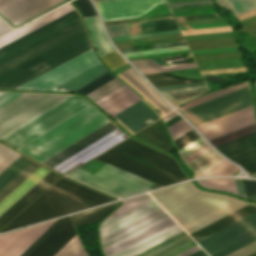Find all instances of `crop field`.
I'll return each mask as SVG.
<instances>
[{
	"label": "crop field",
	"instance_id": "62",
	"mask_svg": "<svg viewBox=\"0 0 256 256\" xmlns=\"http://www.w3.org/2000/svg\"><path fill=\"white\" fill-rule=\"evenodd\" d=\"M219 17L218 14H212V15H201V16H191V17H180L175 18L176 21H182V20H193V19H204V18H215Z\"/></svg>",
	"mask_w": 256,
	"mask_h": 256
},
{
	"label": "crop field",
	"instance_id": "45",
	"mask_svg": "<svg viewBox=\"0 0 256 256\" xmlns=\"http://www.w3.org/2000/svg\"><path fill=\"white\" fill-rule=\"evenodd\" d=\"M248 85V81L238 85V86H234V87H231V88H228V89H224V90H221V91H218V92H214V93H211V94H207V95H204V96H201L185 105H183L181 108L182 110L186 109V108H189V107H192L194 105H197V104H200L202 102H205V101H208L210 99H213L215 97H218V96H221L223 94H226V93H229L231 91H234V90H237L239 88H242V87H245Z\"/></svg>",
	"mask_w": 256,
	"mask_h": 256
},
{
	"label": "crop field",
	"instance_id": "58",
	"mask_svg": "<svg viewBox=\"0 0 256 256\" xmlns=\"http://www.w3.org/2000/svg\"><path fill=\"white\" fill-rule=\"evenodd\" d=\"M256 251V242L228 255V256H247Z\"/></svg>",
	"mask_w": 256,
	"mask_h": 256
},
{
	"label": "crop field",
	"instance_id": "1",
	"mask_svg": "<svg viewBox=\"0 0 256 256\" xmlns=\"http://www.w3.org/2000/svg\"><path fill=\"white\" fill-rule=\"evenodd\" d=\"M74 10L67 4L0 39V47ZM80 18L74 10L0 48V57ZM78 19L2 58L0 88H14L92 48Z\"/></svg>",
	"mask_w": 256,
	"mask_h": 256
},
{
	"label": "crop field",
	"instance_id": "13",
	"mask_svg": "<svg viewBox=\"0 0 256 256\" xmlns=\"http://www.w3.org/2000/svg\"><path fill=\"white\" fill-rule=\"evenodd\" d=\"M63 1L0 0V13L16 26Z\"/></svg>",
	"mask_w": 256,
	"mask_h": 256
},
{
	"label": "crop field",
	"instance_id": "20",
	"mask_svg": "<svg viewBox=\"0 0 256 256\" xmlns=\"http://www.w3.org/2000/svg\"><path fill=\"white\" fill-rule=\"evenodd\" d=\"M58 178L59 176L50 172L44 176L36 185H34L26 194H24L0 216V229Z\"/></svg>",
	"mask_w": 256,
	"mask_h": 256
},
{
	"label": "crop field",
	"instance_id": "27",
	"mask_svg": "<svg viewBox=\"0 0 256 256\" xmlns=\"http://www.w3.org/2000/svg\"><path fill=\"white\" fill-rule=\"evenodd\" d=\"M134 136L141 138L167 152L171 151L172 144L168 138V135L164 129L161 120L149 125L148 127L133 134Z\"/></svg>",
	"mask_w": 256,
	"mask_h": 256
},
{
	"label": "crop field",
	"instance_id": "52",
	"mask_svg": "<svg viewBox=\"0 0 256 256\" xmlns=\"http://www.w3.org/2000/svg\"><path fill=\"white\" fill-rule=\"evenodd\" d=\"M178 33H181L180 30L167 31V32H158V33H149V34H141V35H133V36H125V37H115V38H112V40L113 41L130 40V39H138V38L178 34Z\"/></svg>",
	"mask_w": 256,
	"mask_h": 256
},
{
	"label": "crop field",
	"instance_id": "15",
	"mask_svg": "<svg viewBox=\"0 0 256 256\" xmlns=\"http://www.w3.org/2000/svg\"><path fill=\"white\" fill-rule=\"evenodd\" d=\"M225 157L256 173V133L216 147Z\"/></svg>",
	"mask_w": 256,
	"mask_h": 256
},
{
	"label": "crop field",
	"instance_id": "33",
	"mask_svg": "<svg viewBox=\"0 0 256 256\" xmlns=\"http://www.w3.org/2000/svg\"><path fill=\"white\" fill-rule=\"evenodd\" d=\"M180 231H182V229L176 225V226L116 255V256H132V255H134V254H136V253H138V252H140V251H142V250H144V249H146V248H148V247H150V246H152V245H154V244H156V243H158V242H160V241H162Z\"/></svg>",
	"mask_w": 256,
	"mask_h": 256
},
{
	"label": "crop field",
	"instance_id": "59",
	"mask_svg": "<svg viewBox=\"0 0 256 256\" xmlns=\"http://www.w3.org/2000/svg\"><path fill=\"white\" fill-rule=\"evenodd\" d=\"M208 4H213V3L211 0H204V1L184 2V3H173L169 5L171 8H176V7H187V6L208 5Z\"/></svg>",
	"mask_w": 256,
	"mask_h": 256
},
{
	"label": "crop field",
	"instance_id": "61",
	"mask_svg": "<svg viewBox=\"0 0 256 256\" xmlns=\"http://www.w3.org/2000/svg\"><path fill=\"white\" fill-rule=\"evenodd\" d=\"M21 93H12V92H5L0 95V106L4 103L8 102L9 100L13 99L14 97L18 96Z\"/></svg>",
	"mask_w": 256,
	"mask_h": 256
},
{
	"label": "crop field",
	"instance_id": "7",
	"mask_svg": "<svg viewBox=\"0 0 256 256\" xmlns=\"http://www.w3.org/2000/svg\"><path fill=\"white\" fill-rule=\"evenodd\" d=\"M67 95L24 93L0 107V138L66 99Z\"/></svg>",
	"mask_w": 256,
	"mask_h": 256
},
{
	"label": "crop field",
	"instance_id": "67",
	"mask_svg": "<svg viewBox=\"0 0 256 256\" xmlns=\"http://www.w3.org/2000/svg\"><path fill=\"white\" fill-rule=\"evenodd\" d=\"M175 115H177V113L175 111H173L170 114H168L165 117H163V119H164V121H167V120H169L170 118H172Z\"/></svg>",
	"mask_w": 256,
	"mask_h": 256
},
{
	"label": "crop field",
	"instance_id": "64",
	"mask_svg": "<svg viewBox=\"0 0 256 256\" xmlns=\"http://www.w3.org/2000/svg\"><path fill=\"white\" fill-rule=\"evenodd\" d=\"M234 179H235V182H236V185H237V189H238L239 195L246 198L245 192H244V188H243V184H242V180L241 179H237V178H234Z\"/></svg>",
	"mask_w": 256,
	"mask_h": 256
},
{
	"label": "crop field",
	"instance_id": "48",
	"mask_svg": "<svg viewBox=\"0 0 256 256\" xmlns=\"http://www.w3.org/2000/svg\"><path fill=\"white\" fill-rule=\"evenodd\" d=\"M235 14L255 8L256 0H227Z\"/></svg>",
	"mask_w": 256,
	"mask_h": 256
},
{
	"label": "crop field",
	"instance_id": "69",
	"mask_svg": "<svg viewBox=\"0 0 256 256\" xmlns=\"http://www.w3.org/2000/svg\"><path fill=\"white\" fill-rule=\"evenodd\" d=\"M191 256H207V255L201 250V251H199V252H197V253H195Z\"/></svg>",
	"mask_w": 256,
	"mask_h": 256
},
{
	"label": "crop field",
	"instance_id": "50",
	"mask_svg": "<svg viewBox=\"0 0 256 256\" xmlns=\"http://www.w3.org/2000/svg\"><path fill=\"white\" fill-rule=\"evenodd\" d=\"M194 67H196L195 63H190V64L166 66V67H159V68L142 69L140 70V72L142 74H146V73H154V72H162V71H170V70H178V69H186V68H194Z\"/></svg>",
	"mask_w": 256,
	"mask_h": 256
},
{
	"label": "crop field",
	"instance_id": "49",
	"mask_svg": "<svg viewBox=\"0 0 256 256\" xmlns=\"http://www.w3.org/2000/svg\"><path fill=\"white\" fill-rule=\"evenodd\" d=\"M101 60H103V62L110 68H114L124 62H126V60H124L117 51H114L104 57L101 58Z\"/></svg>",
	"mask_w": 256,
	"mask_h": 256
},
{
	"label": "crop field",
	"instance_id": "28",
	"mask_svg": "<svg viewBox=\"0 0 256 256\" xmlns=\"http://www.w3.org/2000/svg\"><path fill=\"white\" fill-rule=\"evenodd\" d=\"M129 82L137 87L142 93H144L149 99L157 104L166 113L172 110V108L132 69H128L122 73Z\"/></svg>",
	"mask_w": 256,
	"mask_h": 256
},
{
	"label": "crop field",
	"instance_id": "40",
	"mask_svg": "<svg viewBox=\"0 0 256 256\" xmlns=\"http://www.w3.org/2000/svg\"><path fill=\"white\" fill-rule=\"evenodd\" d=\"M239 170V168L224 159L206 169L202 173L194 176V178L204 177V176H212V175H229L235 171Z\"/></svg>",
	"mask_w": 256,
	"mask_h": 256
},
{
	"label": "crop field",
	"instance_id": "70",
	"mask_svg": "<svg viewBox=\"0 0 256 256\" xmlns=\"http://www.w3.org/2000/svg\"><path fill=\"white\" fill-rule=\"evenodd\" d=\"M249 256H256V252H255V253H253V254H251V255H249Z\"/></svg>",
	"mask_w": 256,
	"mask_h": 256
},
{
	"label": "crop field",
	"instance_id": "9",
	"mask_svg": "<svg viewBox=\"0 0 256 256\" xmlns=\"http://www.w3.org/2000/svg\"><path fill=\"white\" fill-rule=\"evenodd\" d=\"M256 241V213L197 242L211 256H226Z\"/></svg>",
	"mask_w": 256,
	"mask_h": 256
},
{
	"label": "crop field",
	"instance_id": "42",
	"mask_svg": "<svg viewBox=\"0 0 256 256\" xmlns=\"http://www.w3.org/2000/svg\"><path fill=\"white\" fill-rule=\"evenodd\" d=\"M125 85L122 83L117 77L109 81L108 83L104 84L103 86L99 87L98 89L94 90L87 96H89L95 103L103 99L104 97L108 96L112 92L116 91L120 87Z\"/></svg>",
	"mask_w": 256,
	"mask_h": 256
},
{
	"label": "crop field",
	"instance_id": "66",
	"mask_svg": "<svg viewBox=\"0 0 256 256\" xmlns=\"http://www.w3.org/2000/svg\"><path fill=\"white\" fill-rule=\"evenodd\" d=\"M198 250H200V248L197 246V247H195V248H193V249H191V250H189V251H187V252H185V253H183V254H181L179 256H188V255H190V254H192V253H194V252H196Z\"/></svg>",
	"mask_w": 256,
	"mask_h": 256
},
{
	"label": "crop field",
	"instance_id": "17",
	"mask_svg": "<svg viewBox=\"0 0 256 256\" xmlns=\"http://www.w3.org/2000/svg\"><path fill=\"white\" fill-rule=\"evenodd\" d=\"M126 137L128 136L124 135L117 128L52 169L63 174L86 162L87 160L99 155Z\"/></svg>",
	"mask_w": 256,
	"mask_h": 256
},
{
	"label": "crop field",
	"instance_id": "3",
	"mask_svg": "<svg viewBox=\"0 0 256 256\" xmlns=\"http://www.w3.org/2000/svg\"><path fill=\"white\" fill-rule=\"evenodd\" d=\"M109 201L113 200L61 178L0 232Z\"/></svg>",
	"mask_w": 256,
	"mask_h": 256
},
{
	"label": "crop field",
	"instance_id": "31",
	"mask_svg": "<svg viewBox=\"0 0 256 256\" xmlns=\"http://www.w3.org/2000/svg\"><path fill=\"white\" fill-rule=\"evenodd\" d=\"M118 205V202L109 204L103 207H99L93 210H89L83 213L72 215L73 222L76 227L98 222L102 217H104L108 212H110L114 207Z\"/></svg>",
	"mask_w": 256,
	"mask_h": 256
},
{
	"label": "crop field",
	"instance_id": "53",
	"mask_svg": "<svg viewBox=\"0 0 256 256\" xmlns=\"http://www.w3.org/2000/svg\"><path fill=\"white\" fill-rule=\"evenodd\" d=\"M198 137H200V136L192 129L189 132H187L186 134H184L182 137H180L179 139L174 141V143L179 150L182 147L189 144L190 142H192L193 140L197 139Z\"/></svg>",
	"mask_w": 256,
	"mask_h": 256
},
{
	"label": "crop field",
	"instance_id": "18",
	"mask_svg": "<svg viewBox=\"0 0 256 256\" xmlns=\"http://www.w3.org/2000/svg\"><path fill=\"white\" fill-rule=\"evenodd\" d=\"M76 234L68 216L35 250L28 256H54Z\"/></svg>",
	"mask_w": 256,
	"mask_h": 256
},
{
	"label": "crop field",
	"instance_id": "44",
	"mask_svg": "<svg viewBox=\"0 0 256 256\" xmlns=\"http://www.w3.org/2000/svg\"><path fill=\"white\" fill-rule=\"evenodd\" d=\"M114 77H116V76H114L112 73H110L108 71L105 74L99 76L98 78H96V79L92 80L91 82L85 84L84 86L80 87L79 89H77L74 92L86 95V94L90 93L91 91H93L94 89L98 88L99 86L103 85L104 83L108 82L109 80H111Z\"/></svg>",
	"mask_w": 256,
	"mask_h": 256
},
{
	"label": "crop field",
	"instance_id": "39",
	"mask_svg": "<svg viewBox=\"0 0 256 256\" xmlns=\"http://www.w3.org/2000/svg\"><path fill=\"white\" fill-rule=\"evenodd\" d=\"M221 159L223 158L212 149L188 164L198 174Z\"/></svg>",
	"mask_w": 256,
	"mask_h": 256
},
{
	"label": "crop field",
	"instance_id": "11",
	"mask_svg": "<svg viewBox=\"0 0 256 256\" xmlns=\"http://www.w3.org/2000/svg\"><path fill=\"white\" fill-rule=\"evenodd\" d=\"M251 104L247 86L181 112L196 126Z\"/></svg>",
	"mask_w": 256,
	"mask_h": 256
},
{
	"label": "crop field",
	"instance_id": "57",
	"mask_svg": "<svg viewBox=\"0 0 256 256\" xmlns=\"http://www.w3.org/2000/svg\"><path fill=\"white\" fill-rule=\"evenodd\" d=\"M132 62L135 64V66L138 69L162 66L161 64H159L151 59L135 60Z\"/></svg>",
	"mask_w": 256,
	"mask_h": 256
},
{
	"label": "crop field",
	"instance_id": "32",
	"mask_svg": "<svg viewBox=\"0 0 256 256\" xmlns=\"http://www.w3.org/2000/svg\"><path fill=\"white\" fill-rule=\"evenodd\" d=\"M145 76L156 87L204 81L203 78H201V79H191V78L180 77V76H177V75H174V74H171V73H167V72L147 74Z\"/></svg>",
	"mask_w": 256,
	"mask_h": 256
},
{
	"label": "crop field",
	"instance_id": "19",
	"mask_svg": "<svg viewBox=\"0 0 256 256\" xmlns=\"http://www.w3.org/2000/svg\"><path fill=\"white\" fill-rule=\"evenodd\" d=\"M142 33L179 29L174 18L137 22ZM130 35L139 34L140 31L135 22L125 24ZM124 24L106 26L111 37L129 35Z\"/></svg>",
	"mask_w": 256,
	"mask_h": 256
},
{
	"label": "crop field",
	"instance_id": "26",
	"mask_svg": "<svg viewBox=\"0 0 256 256\" xmlns=\"http://www.w3.org/2000/svg\"><path fill=\"white\" fill-rule=\"evenodd\" d=\"M255 212L256 206L249 204L190 235L197 242Z\"/></svg>",
	"mask_w": 256,
	"mask_h": 256
},
{
	"label": "crop field",
	"instance_id": "22",
	"mask_svg": "<svg viewBox=\"0 0 256 256\" xmlns=\"http://www.w3.org/2000/svg\"><path fill=\"white\" fill-rule=\"evenodd\" d=\"M176 225L173 220L169 217L105 250L104 253L106 256H114L172 226Z\"/></svg>",
	"mask_w": 256,
	"mask_h": 256
},
{
	"label": "crop field",
	"instance_id": "23",
	"mask_svg": "<svg viewBox=\"0 0 256 256\" xmlns=\"http://www.w3.org/2000/svg\"><path fill=\"white\" fill-rule=\"evenodd\" d=\"M190 240L187 234L183 231L135 256H158L186 241ZM196 246V244L191 240L161 256H176L192 247Z\"/></svg>",
	"mask_w": 256,
	"mask_h": 256
},
{
	"label": "crop field",
	"instance_id": "29",
	"mask_svg": "<svg viewBox=\"0 0 256 256\" xmlns=\"http://www.w3.org/2000/svg\"><path fill=\"white\" fill-rule=\"evenodd\" d=\"M93 39L98 55L101 57L111 51L113 47L108 42L97 16L84 18Z\"/></svg>",
	"mask_w": 256,
	"mask_h": 256
},
{
	"label": "crop field",
	"instance_id": "63",
	"mask_svg": "<svg viewBox=\"0 0 256 256\" xmlns=\"http://www.w3.org/2000/svg\"><path fill=\"white\" fill-rule=\"evenodd\" d=\"M183 44H186L185 41L172 42V43H163V44H155V45H151V49L162 48V47H169V46H176V45H183Z\"/></svg>",
	"mask_w": 256,
	"mask_h": 256
},
{
	"label": "crop field",
	"instance_id": "68",
	"mask_svg": "<svg viewBox=\"0 0 256 256\" xmlns=\"http://www.w3.org/2000/svg\"><path fill=\"white\" fill-rule=\"evenodd\" d=\"M132 51H136V50H135V47L126 48V49H121V50H120L121 53H124V52H132Z\"/></svg>",
	"mask_w": 256,
	"mask_h": 256
},
{
	"label": "crop field",
	"instance_id": "12",
	"mask_svg": "<svg viewBox=\"0 0 256 256\" xmlns=\"http://www.w3.org/2000/svg\"><path fill=\"white\" fill-rule=\"evenodd\" d=\"M252 105L196 126L207 141L255 124Z\"/></svg>",
	"mask_w": 256,
	"mask_h": 256
},
{
	"label": "crop field",
	"instance_id": "21",
	"mask_svg": "<svg viewBox=\"0 0 256 256\" xmlns=\"http://www.w3.org/2000/svg\"><path fill=\"white\" fill-rule=\"evenodd\" d=\"M116 117L134 133L148 125L143 121L149 118L154 121L159 118L156 112L143 99L117 114Z\"/></svg>",
	"mask_w": 256,
	"mask_h": 256
},
{
	"label": "crop field",
	"instance_id": "5",
	"mask_svg": "<svg viewBox=\"0 0 256 256\" xmlns=\"http://www.w3.org/2000/svg\"><path fill=\"white\" fill-rule=\"evenodd\" d=\"M106 71L92 48L16 88L73 92Z\"/></svg>",
	"mask_w": 256,
	"mask_h": 256
},
{
	"label": "crop field",
	"instance_id": "24",
	"mask_svg": "<svg viewBox=\"0 0 256 256\" xmlns=\"http://www.w3.org/2000/svg\"><path fill=\"white\" fill-rule=\"evenodd\" d=\"M113 124L108 123L105 126L101 127L100 129L96 130L95 132L89 134L88 136L84 137L83 139L79 140L78 142L74 143L73 145L69 146L68 148L64 149L63 151L57 153L56 155L52 156L51 158L47 159L46 161L42 162L49 167H54L60 162L64 161L68 157L72 156L76 152L80 151L84 147L88 146L89 144L93 143L97 139L101 138L105 134L109 133L113 129H115Z\"/></svg>",
	"mask_w": 256,
	"mask_h": 256
},
{
	"label": "crop field",
	"instance_id": "51",
	"mask_svg": "<svg viewBox=\"0 0 256 256\" xmlns=\"http://www.w3.org/2000/svg\"><path fill=\"white\" fill-rule=\"evenodd\" d=\"M73 2L81 10L84 17L97 15L94 6L89 2V0H75Z\"/></svg>",
	"mask_w": 256,
	"mask_h": 256
},
{
	"label": "crop field",
	"instance_id": "35",
	"mask_svg": "<svg viewBox=\"0 0 256 256\" xmlns=\"http://www.w3.org/2000/svg\"><path fill=\"white\" fill-rule=\"evenodd\" d=\"M167 217H169V216L164 212V213H162V214H160V215H158V216H156V217H154V218H152V219H150V220H148V221H146V222H144V223H142V224H140V225H138V226H136V227H134V228H132V229H130V230H128V231H126V232H124V233H122V234L104 242V243H102V247H103V249H105V248H107V247H109V246H111V245H113V244H115V243H117V242H119V241H121V240H123V239H125V238H127V237H129V236H131V235H133V234H135V233H137V232H139V231H141V230H143V229H145V228H147V227H149V226H151V225H153V224H155V223H157V222H159V221H161L165 218H167Z\"/></svg>",
	"mask_w": 256,
	"mask_h": 256
},
{
	"label": "crop field",
	"instance_id": "2",
	"mask_svg": "<svg viewBox=\"0 0 256 256\" xmlns=\"http://www.w3.org/2000/svg\"><path fill=\"white\" fill-rule=\"evenodd\" d=\"M96 159L161 186L187 179L172 158L130 138Z\"/></svg>",
	"mask_w": 256,
	"mask_h": 256
},
{
	"label": "crop field",
	"instance_id": "16",
	"mask_svg": "<svg viewBox=\"0 0 256 256\" xmlns=\"http://www.w3.org/2000/svg\"><path fill=\"white\" fill-rule=\"evenodd\" d=\"M46 222L22 231L0 236V256H19L26 250L53 222Z\"/></svg>",
	"mask_w": 256,
	"mask_h": 256
},
{
	"label": "crop field",
	"instance_id": "37",
	"mask_svg": "<svg viewBox=\"0 0 256 256\" xmlns=\"http://www.w3.org/2000/svg\"><path fill=\"white\" fill-rule=\"evenodd\" d=\"M40 166L35 163H31L27 166L19 175H17L9 184H7L0 191V202L8 196L16 187H18L25 179H27L35 170H37Z\"/></svg>",
	"mask_w": 256,
	"mask_h": 256
},
{
	"label": "crop field",
	"instance_id": "34",
	"mask_svg": "<svg viewBox=\"0 0 256 256\" xmlns=\"http://www.w3.org/2000/svg\"><path fill=\"white\" fill-rule=\"evenodd\" d=\"M207 91H208L207 87L203 86V87L163 91L161 93L165 95L168 99L173 101L175 104L180 105Z\"/></svg>",
	"mask_w": 256,
	"mask_h": 256
},
{
	"label": "crop field",
	"instance_id": "6",
	"mask_svg": "<svg viewBox=\"0 0 256 256\" xmlns=\"http://www.w3.org/2000/svg\"><path fill=\"white\" fill-rule=\"evenodd\" d=\"M65 175L120 198L161 187L96 159Z\"/></svg>",
	"mask_w": 256,
	"mask_h": 256
},
{
	"label": "crop field",
	"instance_id": "46",
	"mask_svg": "<svg viewBox=\"0 0 256 256\" xmlns=\"http://www.w3.org/2000/svg\"><path fill=\"white\" fill-rule=\"evenodd\" d=\"M253 132H256V124L250 127L244 128L242 130L236 131L234 133L228 134L226 136L220 137L218 139L212 140L209 143L212 144L214 147H216L221 144L227 143L229 141L235 140L237 138L243 137L245 135L251 134Z\"/></svg>",
	"mask_w": 256,
	"mask_h": 256
},
{
	"label": "crop field",
	"instance_id": "8",
	"mask_svg": "<svg viewBox=\"0 0 256 256\" xmlns=\"http://www.w3.org/2000/svg\"><path fill=\"white\" fill-rule=\"evenodd\" d=\"M88 105L72 96L0 140L17 149Z\"/></svg>",
	"mask_w": 256,
	"mask_h": 256
},
{
	"label": "crop field",
	"instance_id": "25",
	"mask_svg": "<svg viewBox=\"0 0 256 256\" xmlns=\"http://www.w3.org/2000/svg\"><path fill=\"white\" fill-rule=\"evenodd\" d=\"M138 100L140 98L125 85L96 104L114 116Z\"/></svg>",
	"mask_w": 256,
	"mask_h": 256
},
{
	"label": "crop field",
	"instance_id": "56",
	"mask_svg": "<svg viewBox=\"0 0 256 256\" xmlns=\"http://www.w3.org/2000/svg\"><path fill=\"white\" fill-rule=\"evenodd\" d=\"M242 180H243L246 196L248 198L256 200V182L252 180H246V179H242Z\"/></svg>",
	"mask_w": 256,
	"mask_h": 256
},
{
	"label": "crop field",
	"instance_id": "36",
	"mask_svg": "<svg viewBox=\"0 0 256 256\" xmlns=\"http://www.w3.org/2000/svg\"><path fill=\"white\" fill-rule=\"evenodd\" d=\"M31 161L19 157L7 169L0 174V190L9 183L17 174H19Z\"/></svg>",
	"mask_w": 256,
	"mask_h": 256
},
{
	"label": "crop field",
	"instance_id": "4",
	"mask_svg": "<svg viewBox=\"0 0 256 256\" xmlns=\"http://www.w3.org/2000/svg\"><path fill=\"white\" fill-rule=\"evenodd\" d=\"M107 122L90 105L17 150L42 162Z\"/></svg>",
	"mask_w": 256,
	"mask_h": 256
},
{
	"label": "crop field",
	"instance_id": "38",
	"mask_svg": "<svg viewBox=\"0 0 256 256\" xmlns=\"http://www.w3.org/2000/svg\"><path fill=\"white\" fill-rule=\"evenodd\" d=\"M204 143H206V142L200 137L197 140L190 143L189 145H187L186 147L179 150V152H180L181 156L183 157ZM210 149H212V148L209 147L207 144H204L203 146L199 147L198 149H196L195 151L191 152L190 154H188L187 156H185L183 158L188 163V162L192 161L193 159L197 158L198 156L202 155L203 153L207 152Z\"/></svg>",
	"mask_w": 256,
	"mask_h": 256
},
{
	"label": "crop field",
	"instance_id": "71",
	"mask_svg": "<svg viewBox=\"0 0 256 256\" xmlns=\"http://www.w3.org/2000/svg\"><path fill=\"white\" fill-rule=\"evenodd\" d=\"M3 93V92H0V94Z\"/></svg>",
	"mask_w": 256,
	"mask_h": 256
},
{
	"label": "crop field",
	"instance_id": "60",
	"mask_svg": "<svg viewBox=\"0 0 256 256\" xmlns=\"http://www.w3.org/2000/svg\"><path fill=\"white\" fill-rule=\"evenodd\" d=\"M203 85H206L205 82L177 85V86H169V87H161V88H157V89L159 91H163V90H171V89H179V88H187V87H195V86H203Z\"/></svg>",
	"mask_w": 256,
	"mask_h": 256
},
{
	"label": "crop field",
	"instance_id": "30",
	"mask_svg": "<svg viewBox=\"0 0 256 256\" xmlns=\"http://www.w3.org/2000/svg\"><path fill=\"white\" fill-rule=\"evenodd\" d=\"M49 171L39 168L27 180H25L18 188H16L8 197L0 203V215L7 210L15 201H17L24 193H26L34 184H36Z\"/></svg>",
	"mask_w": 256,
	"mask_h": 256
},
{
	"label": "crop field",
	"instance_id": "10",
	"mask_svg": "<svg viewBox=\"0 0 256 256\" xmlns=\"http://www.w3.org/2000/svg\"><path fill=\"white\" fill-rule=\"evenodd\" d=\"M145 197H149V196L147 194H145V195L137 196L134 198L126 199L124 201V203H128V202L142 199ZM159 209H161V208L156 204V202L151 197L145 198L142 200H138L135 202H131L128 204H124L111 217H109L106 221H104V223L101 227L102 238L130 225L131 223H133V222H135V221H137V220H139V219H141ZM161 212H163L162 209L133 223L132 225L102 239V242L120 234L121 232H123V231H125V230H127V229L161 213Z\"/></svg>",
	"mask_w": 256,
	"mask_h": 256
},
{
	"label": "crop field",
	"instance_id": "54",
	"mask_svg": "<svg viewBox=\"0 0 256 256\" xmlns=\"http://www.w3.org/2000/svg\"><path fill=\"white\" fill-rule=\"evenodd\" d=\"M190 129L192 128L184 120L168 128L172 139L177 138Z\"/></svg>",
	"mask_w": 256,
	"mask_h": 256
},
{
	"label": "crop field",
	"instance_id": "72",
	"mask_svg": "<svg viewBox=\"0 0 256 256\" xmlns=\"http://www.w3.org/2000/svg\"><path fill=\"white\" fill-rule=\"evenodd\" d=\"M93 1H97V0H93Z\"/></svg>",
	"mask_w": 256,
	"mask_h": 256
},
{
	"label": "crop field",
	"instance_id": "55",
	"mask_svg": "<svg viewBox=\"0 0 256 256\" xmlns=\"http://www.w3.org/2000/svg\"><path fill=\"white\" fill-rule=\"evenodd\" d=\"M66 217L58 219L43 235H41L21 256H27L50 232H52Z\"/></svg>",
	"mask_w": 256,
	"mask_h": 256
},
{
	"label": "crop field",
	"instance_id": "43",
	"mask_svg": "<svg viewBox=\"0 0 256 256\" xmlns=\"http://www.w3.org/2000/svg\"><path fill=\"white\" fill-rule=\"evenodd\" d=\"M55 256H88L75 235Z\"/></svg>",
	"mask_w": 256,
	"mask_h": 256
},
{
	"label": "crop field",
	"instance_id": "14",
	"mask_svg": "<svg viewBox=\"0 0 256 256\" xmlns=\"http://www.w3.org/2000/svg\"><path fill=\"white\" fill-rule=\"evenodd\" d=\"M165 0H105L95 2L103 20L141 16Z\"/></svg>",
	"mask_w": 256,
	"mask_h": 256
},
{
	"label": "crop field",
	"instance_id": "65",
	"mask_svg": "<svg viewBox=\"0 0 256 256\" xmlns=\"http://www.w3.org/2000/svg\"><path fill=\"white\" fill-rule=\"evenodd\" d=\"M12 30V28L7 25L1 18H0V35Z\"/></svg>",
	"mask_w": 256,
	"mask_h": 256
},
{
	"label": "crop field",
	"instance_id": "41",
	"mask_svg": "<svg viewBox=\"0 0 256 256\" xmlns=\"http://www.w3.org/2000/svg\"><path fill=\"white\" fill-rule=\"evenodd\" d=\"M198 182L206 188L225 190L237 193L233 178H212L199 180Z\"/></svg>",
	"mask_w": 256,
	"mask_h": 256
},
{
	"label": "crop field",
	"instance_id": "47",
	"mask_svg": "<svg viewBox=\"0 0 256 256\" xmlns=\"http://www.w3.org/2000/svg\"><path fill=\"white\" fill-rule=\"evenodd\" d=\"M20 155L0 145V173Z\"/></svg>",
	"mask_w": 256,
	"mask_h": 256
}]
</instances>
